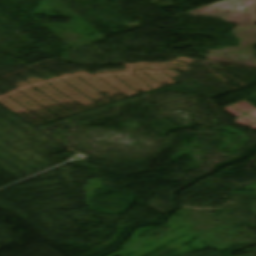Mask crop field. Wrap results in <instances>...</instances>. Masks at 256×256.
Masks as SVG:
<instances>
[{
  "instance_id": "crop-field-1",
  "label": "crop field",
  "mask_w": 256,
  "mask_h": 256,
  "mask_svg": "<svg viewBox=\"0 0 256 256\" xmlns=\"http://www.w3.org/2000/svg\"><path fill=\"white\" fill-rule=\"evenodd\" d=\"M231 106H233L236 109L240 110L244 114L239 113L237 110H235ZM231 106L226 107L224 109L226 111H228L229 113H231L236 118L241 116V115H244L243 117L235 120L236 123L244 125L246 127H249V128H252V129L256 130V120L248 117V116H251V117L256 118V108H254L252 105H250L245 100H243V101H241L239 103H236L234 105H231Z\"/></svg>"
}]
</instances>
